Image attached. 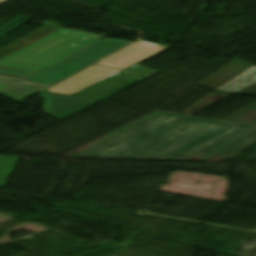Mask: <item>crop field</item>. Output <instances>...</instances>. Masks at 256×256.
Instances as JSON below:
<instances>
[{"label": "crop field", "mask_w": 256, "mask_h": 256, "mask_svg": "<svg viewBox=\"0 0 256 256\" xmlns=\"http://www.w3.org/2000/svg\"><path fill=\"white\" fill-rule=\"evenodd\" d=\"M216 122L155 111L64 157L144 159Z\"/></svg>", "instance_id": "1"}, {"label": "crop field", "mask_w": 256, "mask_h": 256, "mask_svg": "<svg viewBox=\"0 0 256 256\" xmlns=\"http://www.w3.org/2000/svg\"><path fill=\"white\" fill-rule=\"evenodd\" d=\"M256 103L146 159L220 162L254 144ZM246 124V125H243Z\"/></svg>", "instance_id": "2"}, {"label": "crop field", "mask_w": 256, "mask_h": 256, "mask_svg": "<svg viewBox=\"0 0 256 256\" xmlns=\"http://www.w3.org/2000/svg\"><path fill=\"white\" fill-rule=\"evenodd\" d=\"M101 37L60 28L0 60V65L39 71Z\"/></svg>", "instance_id": "3"}, {"label": "crop field", "mask_w": 256, "mask_h": 256, "mask_svg": "<svg viewBox=\"0 0 256 256\" xmlns=\"http://www.w3.org/2000/svg\"><path fill=\"white\" fill-rule=\"evenodd\" d=\"M132 43L109 38L102 39L27 80L54 85Z\"/></svg>", "instance_id": "4"}, {"label": "crop field", "mask_w": 256, "mask_h": 256, "mask_svg": "<svg viewBox=\"0 0 256 256\" xmlns=\"http://www.w3.org/2000/svg\"><path fill=\"white\" fill-rule=\"evenodd\" d=\"M166 49L168 48L139 41L117 52L116 54L100 61L96 65L125 70Z\"/></svg>", "instance_id": "5"}, {"label": "crop field", "mask_w": 256, "mask_h": 256, "mask_svg": "<svg viewBox=\"0 0 256 256\" xmlns=\"http://www.w3.org/2000/svg\"><path fill=\"white\" fill-rule=\"evenodd\" d=\"M120 71L122 70L93 65L55 85L47 91L71 95L108 77H111Z\"/></svg>", "instance_id": "6"}, {"label": "crop field", "mask_w": 256, "mask_h": 256, "mask_svg": "<svg viewBox=\"0 0 256 256\" xmlns=\"http://www.w3.org/2000/svg\"><path fill=\"white\" fill-rule=\"evenodd\" d=\"M37 97H41L45 100L43 107L44 112L59 120H62L98 102L45 92H42Z\"/></svg>", "instance_id": "7"}, {"label": "crop field", "mask_w": 256, "mask_h": 256, "mask_svg": "<svg viewBox=\"0 0 256 256\" xmlns=\"http://www.w3.org/2000/svg\"><path fill=\"white\" fill-rule=\"evenodd\" d=\"M37 85H39V87H37ZM47 87L49 86L27 83L22 81V79L0 76V94L12 98L16 101L34 92H42V90Z\"/></svg>", "instance_id": "8"}, {"label": "crop field", "mask_w": 256, "mask_h": 256, "mask_svg": "<svg viewBox=\"0 0 256 256\" xmlns=\"http://www.w3.org/2000/svg\"><path fill=\"white\" fill-rule=\"evenodd\" d=\"M250 67H252V65L235 60L197 85L216 90Z\"/></svg>", "instance_id": "9"}, {"label": "crop field", "mask_w": 256, "mask_h": 256, "mask_svg": "<svg viewBox=\"0 0 256 256\" xmlns=\"http://www.w3.org/2000/svg\"><path fill=\"white\" fill-rule=\"evenodd\" d=\"M256 74V68L252 67L249 70H247L246 72H244L243 74L239 75L238 77H236L235 79H233L232 81H230L229 83H227L226 85L222 86L221 88H219V91H225V92H231V93H235L236 91L256 82V75L254 77H252L251 79L247 80L246 82L240 84L241 82H243L244 80L248 79L249 77H251L252 75ZM254 79L253 81H251L250 83H248L250 80ZM237 80H239L238 82H236ZM236 82V83H234ZM234 83V84H233ZM248 83V84H246ZM233 84V85H231ZM246 84V85H245ZM231 85V86H229ZM238 87H235V86ZM229 86V87H228ZM228 87V88H226ZM239 87H242L240 89H237ZM226 88V89H224ZM224 89V90H223ZM230 89H232L231 91H229Z\"/></svg>", "instance_id": "10"}, {"label": "crop field", "mask_w": 256, "mask_h": 256, "mask_svg": "<svg viewBox=\"0 0 256 256\" xmlns=\"http://www.w3.org/2000/svg\"><path fill=\"white\" fill-rule=\"evenodd\" d=\"M18 159L19 157L0 156V187H3Z\"/></svg>", "instance_id": "11"}, {"label": "crop field", "mask_w": 256, "mask_h": 256, "mask_svg": "<svg viewBox=\"0 0 256 256\" xmlns=\"http://www.w3.org/2000/svg\"><path fill=\"white\" fill-rule=\"evenodd\" d=\"M123 73L129 74L133 77H136V78L142 80L156 72L137 64V65L123 71Z\"/></svg>", "instance_id": "12"}, {"label": "crop field", "mask_w": 256, "mask_h": 256, "mask_svg": "<svg viewBox=\"0 0 256 256\" xmlns=\"http://www.w3.org/2000/svg\"><path fill=\"white\" fill-rule=\"evenodd\" d=\"M37 73H39V72H33V71H27V70H21V69L0 66V74H3V75L16 76V77H22V78L27 79Z\"/></svg>", "instance_id": "13"}, {"label": "crop field", "mask_w": 256, "mask_h": 256, "mask_svg": "<svg viewBox=\"0 0 256 256\" xmlns=\"http://www.w3.org/2000/svg\"><path fill=\"white\" fill-rule=\"evenodd\" d=\"M254 91H256V83L247 87V88H245V89H243V90H241V91H239V92H237V94L248 95V94H250Z\"/></svg>", "instance_id": "14"}, {"label": "crop field", "mask_w": 256, "mask_h": 256, "mask_svg": "<svg viewBox=\"0 0 256 256\" xmlns=\"http://www.w3.org/2000/svg\"><path fill=\"white\" fill-rule=\"evenodd\" d=\"M6 1H8V0H0V4L4 3Z\"/></svg>", "instance_id": "15"}, {"label": "crop field", "mask_w": 256, "mask_h": 256, "mask_svg": "<svg viewBox=\"0 0 256 256\" xmlns=\"http://www.w3.org/2000/svg\"><path fill=\"white\" fill-rule=\"evenodd\" d=\"M252 125L256 126V118H255V120H254V122H253V124H252Z\"/></svg>", "instance_id": "16"}]
</instances>
